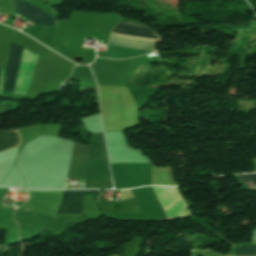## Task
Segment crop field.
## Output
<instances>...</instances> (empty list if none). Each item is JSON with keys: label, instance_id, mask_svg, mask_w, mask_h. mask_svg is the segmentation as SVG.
Masks as SVG:
<instances>
[{"label": "crop field", "instance_id": "dd49c442", "mask_svg": "<svg viewBox=\"0 0 256 256\" xmlns=\"http://www.w3.org/2000/svg\"><path fill=\"white\" fill-rule=\"evenodd\" d=\"M233 255L256 256V247H234Z\"/></svg>", "mask_w": 256, "mask_h": 256}, {"label": "crop field", "instance_id": "34b2d1b8", "mask_svg": "<svg viewBox=\"0 0 256 256\" xmlns=\"http://www.w3.org/2000/svg\"><path fill=\"white\" fill-rule=\"evenodd\" d=\"M15 12L22 15V17L35 22V24L55 26V18L46 14L42 10L27 4L21 0H15Z\"/></svg>", "mask_w": 256, "mask_h": 256}, {"label": "crop field", "instance_id": "412701ff", "mask_svg": "<svg viewBox=\"0 0 256 256\" xmlns=\"http://www.w3.org/2000/svg\"><path fill=\"white\" fill-rule=\"evenodd\" d=\"M84 191H64L58 213H81Z\"/></svg>", "mask_w": 256, "mask_h": 256}, {"label": "crop field", "instance_id": "ac0d7876", "mask_svg": "<svg viewBox=\"0 0 256 256\" xmlns=\"http://www.w3.org/2000/svg\"><path fill=\"white\" fill-rule=\"evenodd\" d=\"M39 56L23 49L19 72L13 93L25 94L32 79V68ZM4 72H0V94L2 90Z\"/></svg>", "mask_w": 256, "mask_h": 256}, {"label": "crop field", "instance_id": "8a807250", "mask_svg": "<svg viewBox=\"0 0 256 256\" xmlns=\"http://www.w3.org/2000/svg\"><path fill=\"white\" fill-rule=\"evenodd\" d=\"M112 33L156 38L155 33H153L147 26L124 21L117 24L112 30ZM113 35H111L108 43L110 45L154 51L155 41Z\"/></svg>", "mask_w": 256, "mask_h": 256}, {"label": "crop field", "instance_id": "f4fd0767", "mask_svg": "<svg viewBox=\"0 0 256 256\" xmlns=\"http://www.w3.org/2000/svg\"><path fill=\"white\" fill-rule=\"evenodd\" d=\"M2 132H0L1 136ZM19 144V135L17 133L3 132L0 138V151L9 149Z\"/></svg>", "mask_w": 256, "mask_h": 256}, {"label": "crop field", "instance_id": "e52e79f7", "mask_svg": "<svg viewBox=\"0 0 256 256\" xmlns=\"http://www.w3.org/2000/svg\"><path fill=\"white\" fill-rule=\"evenodd\" d=\"M238 176L246 186L256 188V174H244Z\"/></svg>", "mask_w": 256, "mask_h": 256}]
</instances>
